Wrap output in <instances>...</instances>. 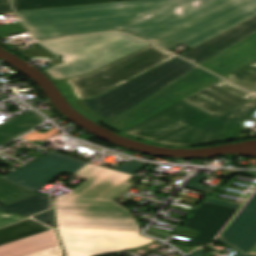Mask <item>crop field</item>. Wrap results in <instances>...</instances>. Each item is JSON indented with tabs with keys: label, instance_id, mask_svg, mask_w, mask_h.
<instances>
[{
	"label": "crop field",
	"instance_id": "obj_1",
	"mask_svg": "<svg viewBox=\"0 0 256 256\" xmlns=\"http://www.w3.org/2000/svg\"><path fill=\"white\" fill-rule=\"evenodd\" d=\"M37 40L121 30L190 48L256 15V0H137L17 12Z\"/></svg>",
	"mask_w": 256,
	"mask_h": 256
},
{
	"label": "crop field",
	"instance_id": "obj_2",
	"mask_svg": "<svg viewBox=\"0 0 256 256\" xmlns=\"http://www.w3.org/2000/svg\"><path fill=\"white\" fill-rule=\"evenodd\" d=\"M75 176L86 181L54 200L67 256H95L154 241L139 236L133 217L114 202L133 186L125 183L132 175L88 164Z\"/></svg>",
	"mask_w": 256,
	"mask_h": 256
},
{
	"label": "crop field",
	"instance_id": "obj_3",
	"mask_svg": "<svg viewBox=\"0 0 256 256\" xmlns=\"http://www.w3.org/2000/svg\"><path fill=\"white\" fill-rule=\"evenodd\" d=\"M255 110L256 98L214 116L180 100L121 132L166 146L211 144L236 139Z\"/></svg>",
	"mask_w": 256,
	"mask_h": 256
},
{
	"label": "crop field",
	"instance_id": "obj_4",
	"mask_svg": "<svg viewBox=\"0 0 256 256\" xmlns=\"http://www.w3.org/2000/svg\"><path fill=\"white\" fill-rule=\"evenodd\" d=\"M40 44L64 56L65 63L44 69L54 81L92 72L150 45L118 32L55 39Z\"/></svg>",
	"mask_w": 256,
	"mask_h": 256
},
{
	"label": "crop field",
	"instance_id": "obj_5",
	"mask_svg": "<svg viewBox=\"0 0 256 256\" xmlns=\"http://www.w3.org/2000/svg\"><path fill=\"white\" fill-rule=\"evenodd\" d=\"M195 67L176 57L101 96L73 104L93 120L102 122L137 105Z\"/></svg>",
	"mask_w": 256,
	"mask_h": 256
},
{
	"label": "crop field",
	"instance_id": "obj_6",
	"mask_svg": "<svg viewBox=\"0 0 256 256\" xmlns=\"http://www.w3.org/2000/svg\"><path fill=\"white\" fill-rule=\"evenodd\" d=\"M176 56L153 45L134 52L90 74L69 79L76 96L89 99L101 95Z\"/></svg>",
	"mask_w": 256,
	"mask_h": 256
},
{
	"label": "crop field",
	"instance_id": "obj_7",
	"mask_svg": "<svg viewBox=\"0 0 256 256\" xmlns=\"http://www.w3.org/2000/svg\"><path fill=\"white\" fill-rule=\"evenodd\" d=\"M220 79L197 67L125 113L102 122L120 131Z\"/></svg>",
	"mask_w": 256,
	"mask_h": 256
},
{
	"label": "crop field",
	"instance_id": "obj_8",
	"mask_svg": "<svg viewBox=\"0 0 256 256\" xmlns=\"http://www.w3.org/2000/svg\"><path fill=\"white\" fill-rule=\"evenodd\" d=\"M0 256H63L55 232L32 219L0 228Z\"/></svg>",
	"mask_w": 256,
	"mask_h": 256
},
{
	"label": "crop field",
	"instance_id": "obj_9",
	"mask_svg": "<svg viewBox=\"0 0 256 256\" xmlns=\"http://www.w3.org/2000/svg\"><path fill=\"white\" fill-rule=\"evenodd\" d=\"M84 164L85 162L51 151L1 178L25 190L36 192L47 182L63 173H74Z\"/></svg>",
	"mask_w": 256,
	"mask_h": 256
},
{
	"label": "crop field",
	"instance_id": "obj_10",
	"mask_svg": "<svg viewBox=\"0 0 256 256\" xmlns=\"http://www.w3.org/2000/svg\"><path fill=\"white\" fill-rule=\"evenodd\" d=\"M217 240L236 249V256H256L248 254L256 243V193ZM188 256H203V251L198 249Z\"/></svg>",
	"mask_w": 256,
	"mask_h": 256
},
{
	"label": "crop field",
	"instance_id": "obj_11",
	"mask_svg": "<svg viewBox=\"0 0 256 256\" xmlns=\"http://www.w3.org/2000/svg\"><path fill=\"white\" fill-rule=\"evenodd\" d=\"M255 97L221 79L182 100L214 115Z\"/></svg>",
	"mask_w": 256,
	"mask_h": 256
},
{
	"label": "crop field",
	"instance_id": "obj_12",
	"mask_svg": "<svg viewBox=\"0 0 256 256\" xmlns=\"http://www.w3.org/2000/svg\"><path fill=\"white\" fill-rule=\"evenodd\" d=\"M237 211L236 208L203 203L185 225L200 231L194 237V244L211 243Z\"/></svg>",
	"mask_w": 256,
	"mask_h": 256
},
{
	"label": "crop field",
	"instance_id": "obj_13",
	"mask_svg": "<svg viewBox=\"0 0 256 256\" xmlns=\"http://www.w3.org/2000/svg\"><path fill=\"white\" fill-rule=\"evenodd\" d=\"M255 31L256 16L181 54L180 56L200 65Z\"/></svg>",
	"mask_w": 256,
	"mask_h": 256
},
{
	"label": "crop field",
	"instance_id": "obj_14",
	"mask_svg": "<svg viewBox=\"0 0 256 256\" xmlns=\"http://www.w3.org/2000/svg\"><path fill=\"white\" fill-rule=\"evenodd\" d=\"M256 60V32L200 65L222 77Z\"/></svg>",
	"mask_w": 256,
	"mask_h": 256
},
{
	"label": "crop field",
	"instance_id": "obj_15",
	"mask_svg": "<svg viewBox=\"0 0 256 256\" xmlns=\"http://www.w3.org/2000/svg\"><path fill=\"white\" fill-rule=\"evenodd\" d=\"M41 122H42V120H40L35 113L28 111L12 120L0 125V145L10 141L14 137H16L26 131L34 128Z\"/></svg>",
	"mask_w": 256,
	"mask_h": 256
},
{
	"label": "crop field",
	"instance_id": "obj_16",
	"mask_svg": "<svg viewBox=\"0 0 256 256\" xmlns=\"http://www.w3.org/2000/svg\"><path fill=\"white\" fill-rule=\"evenodd\" d=\"M127 0H12L16 11Z\"/></svg>",
	"mask_w": 256,
	"mask_h": 256
},
{
	"label": "crop field",
	"instance_id": "obj_17",
	"mask_svg": "<svg viewBox=\"0 0 256 256\" xmlns=\"http://www.w3.org/2000/svg\"><path fill=\"white\" fill-rule=\"evenodd\" d=\"M49 207V198L47 196L36 194L28 198L2 206L0 207V210L31 215L46 210Z\"/></svg>",
	"mask_w": 256,
	"mask_h": 256
},
{
	"label": "crop field",
	"instance_id": "obj_18",
	"mask_svg": "<svg viewBox=\"0 0 256 256\" xmlns=\"http://www.w3.org/2000/svg\"><path fill=\"white\" fill-rule=\"evenodd\" d=\"M224 78L252 92L256 91V61Z\"/></svg>",
	"mask_w": 256,
	"mask_h": 256
},
{
	"label": "crop field",
	"instance_id": "obj_19",
	"mask_svg": "<svg viewBox=\"0 0 256 256\" xmlns=\"http://www.w3.org/2000/svg\"><path fill=\"white\" fill-rule=\"evenodd\" d=\"M30 195H33V193L26 192L0 179V204L5 205Z\"/></svg>",
	"mask_w": 256,
	"mask_h": 256
},
{
	"label": "crop field",
	"instance_id": "obj_20",
	"mask_svg": "<svg viewBox=\"0 0 256 256\" xmlns=\"http://www.w3.org/2000/svg\"><path fill=\"white\" fill-rule=\"evenodd\" d=\"M203 177L204 175L197 174V176L194 179H192L188 184H186L184 187L208 194L214 188H209L203 185H199L198 183L203 179Z\"/></svg>",
	"mask_w": 256,
	"mask_h": 256
},
{
	"label": "crop field",
	"instance_id": "obj_21",
	"mask_svg": "<svg viewBox=\"0 0 256 256\" xmlns=\"http://www.w3.org/2000/svg\"><path fill=\"white\" fill-rule=\"evenodd\" d=\"M21 31H25V28L21 23L0 25V37L6 34L21 32Z\"/></svg>",
	"mask_w": 256,
	"mask_h": 256
},
{
	"label": "crop field",
	"instance_id": "obj_22",
	"mask_svg": "<svg viewBox=\"0 0 256 256\" xmlns=\"http://www.w3.org/2000/svg\"><path fill=\"white\" fill-rule=\"evenodd\" d=\"M59 88L62 92L68 97L69 101L74 102L78 101L79 99L74 95L70 85L66 83L64 80L57 81Z\"/></svg>",
	"mask_w": 256,
	"mask_h": 256
},
{
	"label": "crop field",
	"instance_id": "obj_23",
	"mask_svg": "<svg viewBox=\"0 0 256 256\" xmlns=\"http://www.w3.org/2000/svg\"><path fill=\"white\" fill-rule=\"evenodd\" d=\"M23 218H26L24 216H18V215H13L5 212H0V226L21 220Z\"/></svg>",
	"mask_w": 256,
	"mask_h": 256
},
{
	"label": "crop field",
	"instance_id": "obj_24",
	"mask_svg": "<svg viewBox=\"0 0 256 256\" xmlns=\"http://www.w3.org/2000/svg\"><path fill=\"white\" fill-rule=\"evenodd\" d=\"M33 219H36L42 223H45V222H49V221H53V209L48 211V212H45V213H42V214H39V215H35L32 217Z\"/></svg>",
	"mask_w": 256,
	"mask_h": 256
},
{
	"label": "crop field",
	"instance_id": "obj_25",
	"mask_svg": "<svg viewBox=\"0 0 256 256\" xmlns=\"http://www.w3.org/2000/svg\"><path fill=\"white\" fill-rule=\"evenodd\" d=\"M204 202H210V203H215V204H221V205H226V206H231V207H236L239 208L240 205L234 204V203H229V202H224L220 200H215V199H207Z\"/></svg>",
	"mask_w": 256,
	"mask_h": 256
},
{
	"label": "crop field",
	"instance_id": "obj_26",
	"mask_svg": "<svg viewBox=\"0 0 256 256\" xmlns=\"http://www.w3.org/2000/svg\"><path fill=\"white\" fill-rule=\"evenodd\" d=\"M10 6L7 0H0V14L10 12Z\"/></svg>",
	"mask_w": 256,
	"mask_h": 256
},
{
	"label": "crop field",
	"instance_id": "obj_27",
	"mask_svg": "<svg viewBox=\"0 0 256 256\" xmlns=\"http://www.w3.org/2000/svg\"><path fill=\"white\" fill-rule=\"evenodd\" d=\"M250 253H251V254H256V245L254 246V248L251 250Z\"/></svg>",
	"mask_w": 256,
	"mask_h": 256
}]
</instances>
